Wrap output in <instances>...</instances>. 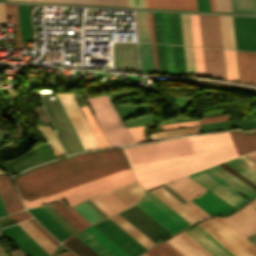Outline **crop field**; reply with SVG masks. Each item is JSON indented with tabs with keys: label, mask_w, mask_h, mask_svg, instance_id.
I'll use <instances>...</instances> for the list:
<instances>
[{
	"label": "crop field",
	"mask_w": 256,
	"mask_h": 256,
	"mask_svg": "<svg viewBox=\"0 0 256 256\" xmlns=\"http://www.w3.org/2000/svg\"><path fill=\"white\" fill-rule=\"evenodd\" d=\"M144 125L129 127L128 130L130 131L135 143L144 142L146 141L142 135Z\"/></svg>",
	"instance_id": "53"
},
{
	"label": "crop field",
	"mask_w": 256,
	"mask_h": 256,
	"mask_svg": "<svg viewBox=\"0 0 256 256\" xmlns=\"http://www.w3.org/2000/svg\"><path fill=\"white\" fill-rule=\"evenodd\" d=\"M63 244H65L79 256H99L74 235L63 242Z\"/></svg>",
	"instance_id": "29"
},
{
	"label": "crop field",
	"mask_w": 256,
	"mask_h": 256,
	"mask_svg": "<svg viewBox=\"0 0 256 256\" xmlns=\"http://www.w3.org/2000/svg\"><path fill=\"white\" fill-rule=\"evenodd\" d=\"M41 233H43L56 247L59 243L48 233L46 232L35 220H29Z\"/></svg>",
	"instance_id": "57"
},
{
	"label": "crop field",
	"mask_w": 256,
	"mask_h": 256,
	"mask_svg": "<svg viewBox=\"0 0 256 256\" xmlns=\"http://www.w3.org/2000/svg\"><path fill=\"white\" fill-rule=\"evenodd\" d=\"M204 7H205V10L210 11L209 0H204Z\"/></svg>",
	"instance_id": "70"
},
{
	"label": "crop field",
	"mask_w": 256,
	"mask_h": 256,
	"mask_svg": "<svg viewBox=\"0 0 256 256\" xmlns=\"http://www.w3.org/2000/svg\"><path fill=\"white\" fill-rule=\"evenodd\" d=\"M164 43L172 44L168 14L161 13Z\"/></svg>",
	"instance_id": "48"
},
{
	"label": "crop field",
	"mask_w": 256,
	"mask_h": 256,
	"mask_svg": "<svg viewBox=\"0 0 256 256\" xmlns=\"http://www.w3.org/2000/svg\"><path fill=\"white\" fill-rule=\"evenodd\" d=\"M144 189L237 157L228 133L123 148Z\"/></svg>",
	"instance_id": "2"
},
{
	"label": "crop field",
	"mask_w": 256,
	"mask_h": 256,
	"mask_svg": "<svg viewBox=\"0 0 256 256\" xmlns=\"http://www.w3.org/2000/svg\"><path fill=\"white\" fill-rule=\"evenodd\" d=\"M14 223H17V222L8 218V217L0 219V225H2L4 227H6L8 225H11V224H14Z\"/></svg>",
	"instance_id": "64"
},
{
	"label": "crop field",
	"mask_w": 256,
	"mask_h": 256,
	"mask_svg": "<svg viewBox=\"0 0 256 256\" xmlns=\"http://www.w3.org/2000/svg\"><path fill=\"white\" fill-rule=\"evenodd\" d=\"M9 217L14 219V220H16V221H18V222H20V221H23V220L31 218V215L28 214L26 211H23V212L11 215Z\"/></svg>",
	"instance_id": "59"
},
{
	"label": "crop field",
	"mask_w": 256,
	"mask_h": 256,
	"mask_svg": "<svg viewBox=\"0 0 256 256\" xmlns=\"http://www.w3.org/2000/svg\"><path fill=\"white\" fill-rule=\"evenodd\" d=\"M69 211L78 218L86 227L90 226L73 208L69 209Z\"/></svg>",
	"instance_id": "65"
},
{
	"label": "crop field",
	"mask_w": 256,
	"mask_h": 256,
	"mask_svg": "<svg viewBox=\"0 0 256 256\" xmlns=\"http://www.w3.org/2000/svg\"><path fill=\"white\" fill-rule=\"evenodd\" d=\"M167 242L183 256H213L184 231Z\"/></svg>",
	"instance_id": "11"
},
{
	"label": "crop field",
	"mask_w": 256,
	"mask_h": 256,
	"mask_svg": "<svg viewBox=\"0 0 256 256\" xmlns=\"http://www.w3.org/2000/svg\"><path fill=\"white\" fill-rule=\"evenodd\" d=\"M224 53H225L228 80L239 82L235 51L224 50ZM225 61H224V65H225ZM226 69H225V75H226ZM227 77H226V80H227Z\"/></svg>",
	"instance_id": "31"
},
{
	"label": "crop field",
	"mask_w": 256,
	"mask_h": 256,
	"mask_svg": "<svg viewBox=\"0 0 256 256\" xmlns=\"http://www.w3.org/2000/svg\"><path fill=\"white\" fill-rule=\"evenodd\" d=\"M87 101L110 147L133 143L125 126L111 106L107 94L88 98Z\"/></svg>",
	"instance_id": "4"
},
{
	"label": "crop field",
	"mask_w": 256,
	"mask_h": 256,
	"mask_svg": "<svg viewBox=\"0 0 256 256\" xmlns=\"http://www.w3.org/2000/svg\"><path fill=\"white\" fill-rule=\"evenodd\" d=\"M189 176L236 209L248 202V200L232 190L246 196L250 200L256 196L255 191L219 165L190 174Z\"/></svg>",
	"instance_id": "3"
},
{
	"label": "crop field",
	"mask_w": 256,
	"mask_h": 256,
	"mask_svg": "<svg viewBox=\"0 0 256 256\" xmlns=\"http://www.w3.org/2000/svg\"><path fill=\"white\" fill-rule=\"evenodd\" d=\"M167 185H169L187 201L204 190L203 187H201L187 176L174 180L172 183H167Z\"/></svg>",
	"instance_id": "18"
},
{
	"label": "crop field",
	"mask_w": 256,
	"mask_h": 256,
	"mask_svg": "<svg viewBox=\"0 0 256 256\" xmlns=\"http://www.w3.org/2000/svg\"><path fill=\"white\" fill-rule=\"evenodd\" d=\"M169 17L173 44L183 45L179 14H169Z\"/></svg>",
	"instance_id": "38"
},
{
	"label": "crop field",
	"mask_w": 256,
	"mask_h": 256,
	"mask_svg": "<svg viewBox=\"0 0 256 256\" xmlns=\"http://www.w3.org/2000/svg\"><path fill=\"white\" fill-rule=\"evenodd\" d=\"M141 256H147L146 254H143V255H141Z\"/></svg>",
	"instance_id": "74"
},
{
	"label": "crop field",
	"mask_w": 256,
	"mask_h": 256,
	"mask_svg": "<svg viewBox=\"0 0 256 256\" xmlns=\"http://www.w3.org/2000/svg\"><path fill=\"white\" fill-rule=\"evenodd\" d=\"M187 75L196 76L193 47H184Z\"/></svg>",
	"instance_id": "44"
},
{
	"label": "crop field",
	"mask_w": 256,
	"mask_h": 256,
	"mask_svg": "<svg viewBox=\"0 0 256 256\" xmlns=\"http://www.w3.org/2000/svg\"><path fill=\"white\" fill-rule=\"evenodd\" d=\"M223 168H225L227 171H229L231 174H233L234 176H236L238 179H240L242 182H244L245 184H247L249 187H251L253 190L256 191V185L254 183H252L251 181H249L247 178H245L244 176H242L241 174H239L237 171H235L234 169H232L231 167H229L227 164L223 163L220 164Z\"/></svg>",
	"instance_id": "52"
},
{
	"label": "crop field",
	"mask_w": 256,
	"mask_h": 256,
	"mask_svg": "<svg viewBox=\"0 0 256 256\" xmlns=\"http://www.w3.org/2000/svg\"><path fill=\"white\" fill-rule=\"evenodd\" d=\"M138 41L150 42L147 12H135Z\"/></svg>",
	"instance_id": "28"
},
{
	"label": "crop field",
	"mask_w": 256,
	"mask_h": 256,
	"mask_svg": "<svg viewBox=\"0 0 256 256\" xmlns=\"http://www.w3.org/2000/svg\"><path fill=\"white\" fill-rule=\"evenodd\" d=\"M203 52L206 77L225 80L222 50L203 48Z\"/></svg>",
	"instance_id": "15"
},
{
	"label": "crop field",
	"mask_w": 256,
	"mask_h": 256,
	"mask_svg": "<svg viewBox=\"0 0 256 256\" xmlns=\"http://www.w3.org/2000/svg\"><path fill=\"white\" fill-rule=\"evenodd\" d=\"M55 256H76V255H74L72 252L68 251L66 253L55 255Z\"/></svg>",
	"instance_id": "69"
},
{
	"label": "crop field",
	"mask_w": 256,
	"mask_h": 256,
	"mask_svg": "<svg viewBox=\"0 0 256 256\" xmlns=\"http://www.w3.org/2000/svg\"><path fill=\"white\" fill-rule=\"evenodd\" d=\"M141 68L143 73H154L150 44L139 43Z\"/></svg>",
	"instance_id": "34"
},
{
	"label": "crop field",
	"mask_w": 256,
	"mask_h": 256,
	"mask_svg": "<svg viewBox=\"0 0 256 256\" xmlns=\"http://www.w3.org/2000/svg\"><path fill=\"white\" fill-rule=\"evenodd\" d=\"M74 235L77 236L80 240H82L86 245H88L100 256H114L111 252H109L105 247H103L99 242H97L93 237H91L84 230Z\"/></svg>",
	"instance_id": "30"
},
{
	"label": "crop field",
	"mask_w": 256,
	"mask_h": 256,
	"mask_svg": "<svg viewBox=\"0 0 256 256\" xmlns=\"http://www.w3.org/2000/svg\"><path fill=\"white\" fill-rule=\"evenodd\" d=\"M90 225L103 219L86 201L73 207Z\"/></svg>",
	"instance_id": "32"
},
{
	"label": "crop field",
	"mask_w": 256,
	"mask_h": 256,
	"mask_svg": "<svg viewBox=\"0 0 256 256\" xmlns=\"http://www.w3.org/2000/svg\"><path fill=\"white\" fill-rule=\"evenodd\" d=\"M198 82L215 84V85H222V86H229V87H236V88H243V89H249V90H256V88L237 86V85H230V84H223V83H217V82H211V81L198 80Z\"/></svg>",
	"instance_id": "60"
},
{
	"label": "crop field",
	"mask_w": 256,
	"mask_h": 256,
	"mask_svg": "<svg viewBox=\"0 0 256 256\" xmlns=\"http://www.w3.org/2000/svg\"><path fill=\"white\" fill-rule=\"evenodd\" d=\"M194 46H202L198 15H190Z\"/></svg>",
	"instance_id": "45"
},
{
	"label": "crop field",
	"mask_w": 256,
	"mask_h": 256,
	"mask_svg": "<svg viewBox=\"0 0 256 256\" xmlns=\"http://www.w3.org/2000/svg\"><path fill=\"white\" fill-rule=\"evenodd\" d=\"M168 74H175L172 45H164Z\"/></svg>",
	"instance_id": "50"
},
{
	"label": "crop field",
	"mask_w": 256,
	"mask_h": 256,
	"mask_svg": "<svg viewBox=\"0 0 256 256\" xmlns=\"http://www.w3.org/2000/svg\"><path fill=\"white\" fill-rule=\"evenodd\" d=\"M197 76L205 77L202 48H194Z\"/></svg>",
	"instance_id": "47"
},
{
	"label": "crop field",
	"mask_w": 256,
	"mask_h": 256,
	"mask_svg": "<svg viewBox=\"0 0 256 256\" xmlns=\"http://www.w3.org/2000/svg\"><path fill=\"white\" fill-rule=\"evenodd\" d=\"M159 73L167 74L163 45L156 44Z\"/></svg>",
	"instance_id": "51"
},
{
	"label": "crop field",
	"mask_w": 256,
	"mask_h": 256,
	"mask_svg": "<svg viewBox=\"0 0 256 256\" xmlns=\"http://www.w3.org/2000/svg\"><path fill=\"white\" fill-rule=\"evenodd\" d=\"M144 197L137 206L173 234L191 225L150 191L145 193Z\"/></svg>",
	"instance_id": "6"
},
{
	"label": "crop field",
	"mask_w": 256,
	"mask_h": 256,
	"mask_svg": "<svg viewBox=\"0 0 256 256\" xmlns=\"http://www.w3.org/2000/svg\"><path fill=\"white\" fill-rule=\"evenodd\" d=\"M155 73H158L155 44L151 43Z\"/></svg>",
	"instance_id": "63"
},
{
	"label": "crop field",
	"mask_w": 256,
	"mask_h": 256,
	"mask_svg": "<svg viewBox=\"0 0 256 256\" xmlns=\"http://www.w3.org/2000/svg\"><path fill=\"white\" fill-rule=\"evenodd\" d=\"M0 173H3L1 170H0ZM7 213H6V211H5V209H4V206H3V204H2V202H1V200H0V216H2V215H6Z\"/></svg>",
	"instance_id": "67"
},
{
	"label": "crop field",
	"mask_w": 256,
	"mask_h": 256,
	"mask_svg": "<svg viewBox=\"0 0 256 256\" xmlns=\"http://www.w3.org/2000/svg\"><path fill=\"white\" fill-rule=\"evenodd\" d=\"M216 11L231 12L230 0H215Z\"/></svg>",
	"instance_id": "54"
},
{
	"label": "crop field",
	"mask_w": 256,
	"mask_h": 256,
	"mask_svg": "<svg viewBox=\"0 0 256 256\" xmlns=\"http://www.w3.org/2000/svg\"><path fill=\"white\" fill-rule=\"evenodd\" d=\"M156 42L163 43L160 13L152 12Z\"/></svg>",
	"instance_id": "49"
},
{
	"label": "crop field",
	"mask_w": 256,
	"mask_h": 256,
	"mask_svg": "<svg viewBox=\"0 0 256 256\" xmlns=\"http://www.w3.org/2000/svg\"><path fill=\"white\" fill-rule=\"evenodd\" d=\"M192 201H194L211 216L215 214L226 215L236 210L209 190L192 199Z\"/></svg>",
	"instance_id": "12"
},
{
	"label": "crop field",
	"mask_w": 256,
	"mask_h": 256,
	"mask_svg": "<svg viewBox=\"0 0 256 256\" xmlns=\"http://www.w3.org/2000/svg\"><path fill=\"white\" fill-rule=\"evenodd\" d=\"M26 1H29V0H26Z\"/></svg>",
	"instance_id": "75"
},
{
	"label": "crop field",
	"mask_w": 256,
	"mask_h": 256,
	"mask_svg": "<svg viewBox=\"0 0 256 256\" xmlns=\"http://www.w3.org/2000/svg\"><path fill=\"white\" fill-rule=\"evenodd\" d=\"M167 242V241H166ZM166 242L158 245L157 247L147 251L146 253L150 256H182L179 254L175 249H173L169 244Z\"/></svg>",
	"instance_id": "40"
},
{
	"label": "crop field",
	"mask_w": 256,
	"mask_h": 256,
	"mask_svg": "<svg viewBox=\"0 0 256 256\" xmlns=\"http://www.w3.org/2000/svg\"><path fill=\"white\" fill-rule=\"evenodd\" d=\"M85 151L98 149L99 146L82 116L72 93H57Z\"/></svg>",
	"instance_id": "7"
},
{
	"label": "crop field",
	"mask_w": 256,
	"mask_h": 256,
	"mask_svg": "<svg viewBox=\"0 0 256 256\" xmlns=\"http://www.w3.org/2000/svg\"><path fill=\"white\" fill-rule=\"evenodd\" d=\"M184 231L214 256H233L229 251H227L223 246L216 242L197 225L192 226Z\"/></svg>",
	"instance_id": "14"
},
{
	"label": "crop field",
	"mask_w": 256,
	"mask_h": 256,
	"mask_svg": "<svg viewBox=\"0 0 256 256\" xmlns=\"http://www.w3.org/2000/svg\"><path fill=\"white\" fill-rule=\"evenodd\" d=\"M230 116L229 115H221V116H213V117H206V118H201L199 119V123H204V122H212V121H220V120H229Z\"/></svg>",
	"instance_id": "58"
},
{
	"label": "crop field",
	"mask_w": 256,
	"mask_h": 256,
	"mask_svg": "<svg viewBox=\"0 0 256 256\" xmlns=\"http://www.w3.org/2000/svg\"><path fill=\"white\" fill-rule=\"evenodd\" d=\"M198 225L235 256H256V248L219 217Z\"/></svg>",
	"instance_id": "5"
},
{
	"label": "crop field",
	"mask_w": 256,
	"mask_h": 256,
	"mask_svg": "<svg viewBox=\"0 0 256 256\" xmlns=\"http://www.w3.org/2000/svg\"><path fill=\"white\" fill-rule=\"evenodd\" d=\"M196 125H198L197 121H191V122L161 125V128L162 130H164V129H170V128L189 127V126H196Z\"/></svg>",
	"instance_id": "55"
},
{
	"label": "crop field",
	"mask_w": 256,
	"mask_h": 256,
	"mask_svg": "<svg viewBox=\"0 0 256 256\" xmlns=\"http://www.w3.org/2000/svg\"><path fill=\"white\" fill-rule=\"evenodd\" d=\"M151 192H153L156 196H158L162 201H164L191 224L202 220V218L184 206L179 200H177L162 187L151 190Z\"/></svg>",
	"instance_id": "16"
},
{
	"label": "crop field",
	"mask_w": 256,
	"mask_h": 256,
	"mask_svg": "<svg viewBox=\"0 0 256 256\" xmlns=\"http://www.w3.org/2000/svg\"><path fill=\"white\" fill-rule=\"evenodd\" d=\"M238 155L256 150V131L248 133L229 132Z\"/></svg>",
	"instance_id": "19"
},
{
	"label": "crop field",
	"mask_w": 256,
	"mask_h": 256,
	"mask_svg": "<svg viewBox=\"0 0 256 256\" xmlns=\"http://www.w3.org/2000/svg\"><path fill=\"white\" fill-rule=\"evenodd\" d=\"M0 197L8 214L24 209L11 180L5 174L0 175Z\"/></svg>",
	"instance_id": "13"
},
{
	"label": "crop field",
	"mask_w": 256,
	"mask_h": 256,
	"mask_svg": "<svg viewBox=\"0 0 256 256\" xmlns=\"http://www.w3.org/2000/svg\"><path fill=\"white\" fill-rule=\"evenodd\" d=\"M173 49L176 74L186 75L183 46L173 45Z\"/></svg>",
	"instance_id": "41"
},
{
	"label": "crop field",
	"mask_w": 256,
	"mask_h": 256,
	"mask_svg": "<svg viewBox=\"0 0 256 256\" xmlns=\"http://www.w3.org/2000/svg\"><path fill=\"white\" fill-rule=\"evenodd\" d=\"M203 46L222 48L218 16L199 15Z\"/></svg>",
	"instance_id": "10"
},
{
	"label": "crop field",
	"mask_w": 256,
	"mask_h": 256,
	"mask_svg": "<svg viewBox=\"0 0 256 256\" xmlns=\"http://www.w3.org/2000/svg\"><path fill=\"white\" fill-rule=\"evenodd\" d=\"M120 215L155 243L172 235L137 206L120 213Z\"/></svg>",
	"instance_id": "8"
},
{
	"label": "crop field",
	"mask_w": 256,
	"mask_h": 256,
	"mask_svg": "<svg viewBox=\"0 0 256 256\" xmlns=\"http://www.w3.org/2000/svg\"><path fill=\"white\" fill-rule=\"evenodd\" d=\"M21 33H31L28 5L18 4Z\"/></svg>",
	"instance_id": "42"
},
{
	"label": "crop field",
	"mask_w": 256,
	"mask_h": 256,
	"mask_svg": "<svg viewBox=\"0 0 256 256\" xmlns=\"http://www.w3.org/2000/svg\"><path fill=\"white\" fill-rule=\"evenodd\" d=\"M81 110L83 111V113H84V115L87 119V122H88V124H89V126H90V128H91V130H92L100 148L108 147V145H107V143H106V141H105V139H104V137H103V135H102V133H101L94 117H93V115L91 114L88 106L81 107Z\"/></svg>",
	"instance_id": "33"
},
{
	"label": "crop field",
	"mask_w": 256,
	"mask_h": 256,
	"mask_svg": "<svg viewBox=\"0 0 256 256\" xmlns=\"http://www.w3.org/2000/svg\"><path fill=\"white\" fill-rule=\"evenodd\" d=\"M250 158H252L253 160L256 161V152H253V153H250V154H247Z\"/></svg>",
	"instance_id": "71"
},
{
	"label": "crop field",
	"mask_w": 256,
	"mask_h": 256,
	"mask_svg": "<svg viewBox=\"0 0 256 256\" xmlns=\"http://www.w3.org/2000/svg\"><path fill=\"white\" fill-rule=\"evenodd\" d=\"M0 23H6L4 4H0Z\"/></svg>",
	"instance_id": "66"
},
{
	"label": "crop field",
	"mask_w": 256,
	"mask_h": 256,
	"mask_svg": "<svg viewBox=\"0 0 256 256\" xmlns=\"http://www.w3.org/2000/svg\"><path fill=\"white\" fill-rule=\"evenodd\" d=\"M184 45L193 46L189 15L180 14Z\"/></svg>",
	"instance_id": "43"
},
{
	"label": "crop field",
	"mask_w": 256,
	"mask_h": 256,
	"mask_svg": "<svg viewBox=\"0 0 256 256\" xmlns=\"http://www.w3.org/2000/svg\"><path fill=\"white\" fill-rule=\"evenodd\" d=\"M185 205L188 206L191 210H193L196 214H198L203 219L210 217V215H208L205 211H203L200 207H198L192 201L186 203Z\"/></svg>",
	"instance_id": "56"
},
{
	"label": "crop field",
	"mask_w": 256,
	"mask_h": 256,
	"mask_svg": "<svg viewBox=\"0 0 256 256\" xmlns=\"http://www.w3.org/2000/svg\"><path fill=\"white\" fill-rule=\"evenodd\" d=\"M226 163L256 184V162L248 156L244 155Z\"/></svg>",
	"instance_id": "21"
},
{
	"label": "crop field",
	"mask_w": 256,
	"mask_h": 256,
	"mask_svg": "<svg viewBox=\"0 0 256 256\" xmlns=\"http://www.w3.org/2000/svg\"><path fill=\"white\" fill-rule=\"evenodd\" d=\"M37 131L38 133L42 134L48 143V145L51 147V149L54 151V153L57 155V157L64 155L59 143L57 142L52 129L50 127L45 126H39L37 125Z\"/></svg>",
	"instance_id": "35"
},
{
	"label": "crop field",
	"mask_w": 256,
	"mask_h": 256,
	"mask_svg": "<svg viewBox=\"0 0 256 256\" xmlns=\"http://www.w3.org/2000/svg\"><path fill=\"white\" fill-rule=\"evenodd\" d=\"M129 6L145 7L144 0H128Z\"/></svg>",
	"instance_id": "61"
},
{
	"label": "crop field",
	"mask_w": 256,
	"mask_h": 256,
	"mask_svg": "<svg viewBox=\"0 0 256 256\" xmlns=\"http://www.w3.org/2000/svg\"><path fill=\"white\" fill-rule=\"evenodd\" d=\"M253 207L256 208V199L250 203Z\"/></svg>",
	"instance_id": "73"
},
{
	"label": "crop field",
	"mask_w": 256,
	"mask_h": 256,
	"mask_svg": "<svg viewBox=\"0 0 256 256\" xmlns=\"http://www.w3.org/2000/svg\"><path fill=\"white\" fill-rule=\"evenodd\" d=\"M98 207H100L108 216L113 215L127 208L120 200H118L111 192L100 195L91 199Z\"/></svg>",
	"instance_id": "20"
},
{
	"label": "crop field",
	"mask_w": 256,
	"mask_h": 256,
	"mask_svg": "<svg viewBox=\"0 0 256 256\" xmlns=\"http://www.w3.org/2000/svg\"><path fill=\"white\" fill-rule=\"evenodd\" d=\"M237 50L256 51V19L234 17Z\"/></svg>",
	"instance_id": "9"
},
{
	"label": "crop field",
	"mask_w": 256,
	"mask_h": 256,
	"mask_svg": "<svg viewBox=\"0 0 256 256\" xmlns=\"http://www.w3.org/2000/svg\"><path fill=\"white\" fill-rule=\"evenodd\" d=\"M146 7L197 10L196 0H145Z\"/></svg>",
	"instance_id": "22"
},
{
	"label": "crop field",
	"mask_w": 256,
	"mask_h": 256,
	"mask_svg": "<svg viewBox=\"0 0 256 256\" xmlns=\"http://www.w3.org/2000/svg\"><path fill=\"white\" fill-rule=\"evenodd\" d=\"M133 181L135 179L122 149H114L74 156L34 169L17 177L15 184L26 208L62 199L71 207L91 196Z\"/></svg>",
	"instance_id": "1"
},
{
	"label": "crop field",
	"mask_w": 256,
	"mask_h": 256,
	"mask_svg": "<svg viewBox=\"0 0 256 256\" xmlns=\"http://www.w3.org/2000/svg\"><path fill=\"white\" fill-rule=\"evenodd\" d=\"M234 12L256 13V0H232Z\"/></svg>",
	"instance_id": "39"
},
{
	"label": "crop field",
	"mask_w": 256,
	"mask_h": 256,
	"mask_svg": "<svg viewBox=\"0 0 256 256\" xmlns=\"http://www.w3.org/2000/svg\"><path fill=\"white\" fill-rule=\"evenodd\" d=\"M30 1L128 6L127 0H30Z\"/></svg>",
	"instance_id": "36"
},
{
	"label": "crop field",
	"mask_w": 256,
	"mask_h": 256,
	"mask_svg": "<svg viewBox=\"0 0 256 256\" xmlns=\"http://www.w3.org/2000/svg\"><path fill=\"white\" fill-rule=\"evenodd\" d=\"M198 10H204L203 0H197Z\"/></svg>",
	"instance_id": "68"
},
{
	"label": "crop field",
	"mask_w": 256,
	"mask_h": 256,
	"mask_svg": "<svg viewBox=\"0 0 256 256\" xmlns=\"http://www.w3.org/2000/svg\"><path fill=\"white\" fill-rule=\"evenodd\" d=\"M241 82L256 85V54L237 52Z\"/></svg>",
	"instance_id": "17"
},
{
	"label": "crop field",
	"mask_w": 256,
	"mask_h": 256,
	"mask_svg": "<svg viewBox=\"0 0 256 256\" xmlns=\"http://www.w3.org/2000/svg\"><path fill=\"white\" fill-rule=\"evenodd\" d=\"M110 219H112L116 224L123 228L127 233H129L133 238H135L147 249L155 244L119 214L110 217Z\"/></svg>",
	"instance_id": "24"
},
{
	"label": "crop field",
	"mask_w": 256,
	"mask_h": 256,
	"mask_svg": "<svg viewBox=\"0 0 256 256\" xmlns=\"http://www.w3.org/2000/svg\"><path fill=\"white\" fill-rule=\"evenodd\" d=\"M64 216H66L79 230L85 228V226L77 220L62 204V202L53 204Z\"/></svg>",
	"instance_id": "46"
},
{
	"label": "crop field",
	"mask_w": 256,
	"mask_h": 256,
	"mask_svg": "<svg viewBox=\"0 0 256 256\" xmlns=\"http://www.w3.org/2000/svg\"><path fill=\"white\" fill-rule=\"evenodd\" d=\"M6 15H14L15 48H22L17 4H5Z\"/></svg>",
	"instance_id": "37"
},
{
	"label": "crop field",
	"mask_w": 256,
	"mask_h": 256,
	"mask_svg": "<svg viewBox=\"0 0 256 256\" xmlns=\"http://www.w3.org/2000/svg\"><path fill=\"white\" fill-rule=\"evenodd\" d=\"M210 7H211V11H215L214 0H210Z\"/></svg>",
	"instance_id": "72"
},
{
	"label": "crop field",
	"mask_w": 256,
	"mask_h": 256,
	"mask_svg": "<svg viewBox=\"0 0 256 256\" xmlns=\"http://www.w3.org/2000/svg\"><path fill=\"white\" fill-rule=\"evenodd\" d=\"M223 48L235 49L231 17L219 16Z\"/></svg>",
	"instance_id": "25"
},
{
	"label": "crop field",
	"mask_w": 256,
	"mask_h": 256,
	"mask_svg": "<svg viewBox=\"0 0 256 256\" xmlns=\"http://www.w3.org/2000/svg\"><path fill=\"white\" fill-rule=\"evenodd\" d=\"M143 192L137 183L112 191L127 207L136 204Z\"/></svg>",
	"instance_id": "23"
},
{
	"label": "crop field",
	"mask_w": 256,
	"mask_h": 256,
	"mask_svg": "<svg viewBox=\"0 0 256 256\" xmlns=\"http://www.w3.org/2000/svg\"><path fill=\"white\" fill-rule=\"evenodd\" d=\"M151 42H155L151 12H148Z\"/></svg>",
	"instance_id": "62"
},
{
	"label": "crop field",
	"mask_w": 256,
	"mask_h": 256,
	"mask_svg": "<svg viewBox=\"0 0 256 256\" xmlns=\"http://www.w3.org/2000/svg\"><path fill=\"white\" fill-rule=\"evenodd\" d=\"M91 236H93L97 241H99L103 246H105L109 251H111L115 256H129L117 245H115L111 240L104 236L93 226L85 229ZM86 232V233H87Z\"/></svg>",
	"instance_id": "27"
},
{
	"label": "crop field",
	"mask_w": 256,
	"mask_h": 256,
	"mask_svg": "<svg viewBox=\"0 0 256 256\" xmlns=\"http://www.w3.org/2000/svg\"><path fill=\"white\" fill-rule=\"evenodd\" d=\"M19 225L33 238L35 239L50 255L55 250V246L42 235L29 221L19 223Z\"/></svg>",
	"instance_id": "26"
}]
</instances>
